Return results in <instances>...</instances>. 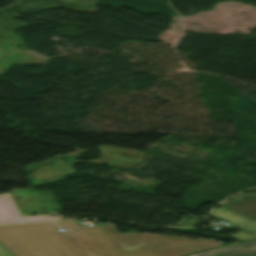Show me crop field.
Here are the masks:
<instances>
[{"label": "crop field", "mask_w": 256, "mask_h": 256, "mask_svg": "<svg viewBox=\"0 0 256 256\" xmlns=\"http://www.w3.org/2000/svg\"><path fill=\"white\" fill-rule=\"evenodd\" d=\"M0 227V243L13 256H117L101 227H80L74 221Z\"/></svg>", "instance_id": "crop-field-1"}, {"label": "crop field", "mask_w": 256, "mask_h": 256, "mask_svg": "<svg viewBox=\"0 0 256 256\" xmlns=\"http://www.w3.org/2000/svg\"><path fill=\"white\" fill-rule=\"evenodd\" d=\"M103 229L118 256H183L223 246L215 241L203 243V240L145 233L119 234L114 225Z\"/></svg>", "instance_id": "crop-field-2"}, {"label": "crop field", "mask_w": 256, "mask_h": 256, "mask_svg": "<svg viewBox=\"0 0 256 256\" xmlns=\"http://www.w3.org/2000/svg\"><path fill=\"white\" fill-rule=\"evenodd\" d=\"M98 150L103 153L102 160H90L91 162L131 168L144 160V152L142 151L107 146H99ZM122 154L126 157L121 156Z\"/></svg>", "instance_id": "crop-field-3"}, {"label": "crop field", "mask_w": 256, "mask_h": 256, "mask_svg": "<svg viewBox=\"0 0 256 256\" xmlns=\"http://www.w3.org/2000/svg\"><path fill=\"white\" fill-rule=\"evenodd\" d=\"M210 215L215 216L217 218H220L222 220H225L227 222L232 223V226H235L237 228L246 230L250 233H252L250 236L240 232L234 235H230L229 237H232L234 239L245 241L249 239L256 238V222L248 219L242 215H238L236 213H233L231 211H228L224 208H215Z\"/></svg>", "instance_id": "crop-field-4"}, {"label": "crop field", "mask_w": 256, "mask_h": 256, "mask_svg": "<svg viewBox=\"0 0 256 256\" xmlns=\"http://www.w3.org/2000/svg\"><path fill=\"white\" fill-rule=\"evenodd\" d=\"M20 217L9 194H0V224L62 220L54 215Z\"/></svg>", "instance_id": "crop-field-5"}, {"label": "crop field", "mask_w": 256, "mask_h": 256, "mask_svg": "<svg viewBox=\"0 0 256 256\" xmlns=\"http://www.w3.org/2000/svg\"><path fill=\"white\" fill-rule=\"evenodd\" d=\"M56 162L59 164L52 168L46 167V166L39 167L40 170L33 172L36 174L32 176L40 180H45V179H56L63 175L75 173V171L72 170L71 165L76 163L77 161H73L69 164L63 163L61 160H58Z\"/></svg>", "instance_id": "crop-field-6"}, {"label": "crop field", "mask_w": 256, "mask_h": 256, "mask_svg": "<svg viewBox=\"0 0 256 256\" xmlns=\"http://www.w3.org/2000/svg\"><path fill=\"white\" fill-rule=\"evenodd\" d=\"M226 209L236 212L238 214L243 213L249 218L256 221V198L244 200L234 205L226 207Z\"/></svg>", "instance_id": "crop-field-7"}, {"label": "crop field", "mask_w": 256, "mask_h": 256, "mask_svg": "<svg viewBox=\"0 0 256 256\" xmlns=\"http://www.w3.org/2000/svg\"><path fill=\"white\" fill-rule=\"evenodd\" d=\"M220 256H256V246L238 250L231 253H227Z\"/></svg>", "instance_id": "crop-field-8"}, {"label": "crop field", "mask_w": 256, "mask_h": 256, "mask_svg": "<svg viewBox=\"0 0 256 256\" xmlns=\"http://www.w3.org/2000/svg\"><path fill=\"white\" fill-rule=\"evenodd\" d=\"M0 256H12V255L0 244Z\"/></svg>", "instance_id": "crop-field-9"}]
</instances>
